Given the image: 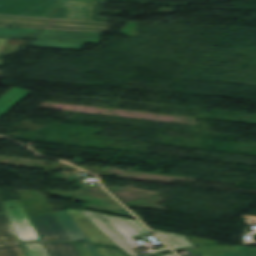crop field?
I'll return each instance as SVG.
<instances>
[{
    "instance_id": "obj_9",
    "label": "crop field",
    "mask_w": 256,
    "mask_h": 256,
    "mask_svg": "<svg viewBox=\"0 0 256 256\" xmlns=\"http://www.w3.org/2000/svg\"><path fill=\"white\" fill-rule=\"evenodd\" d=\"M67 211L78 223V225L83 229L87 236L92 240L93 243L117 247V245L113 241H111L101 230H99L78 210Z\"/></svg>"
},
{
    "instance_id": "obj_3",
    "label": "crop field",
    "mask_w": 256,
    "mask_h": 256,
    "mask_svg": "<svg viewBox=\"0 0 256 256\" xmlns=\"http://www.w3.org/2000/svg\"><path fill=\"white\" fill-rule=\"evenodd\" d=\"M48 19L0 15V26L43 28ZM112 24L51 19L46 28L109 32Z\"/></svg>"
},
{
    "instance_id": "obj_16",
    "label": "crop field",
    "mask_w": 256,
    "mask_h": 256,
    "mask_svg": "<svg viewBox=\"0 0 256 256\" xmlns=\"http://www.w3.org/2000/svg\"><path fill=\"white\" fill-rule=\"evenodd\" d=\"M0 256H25L20 244H0Z\"/></svg>"
},
{
    "instance_id": "obj_22",
    "label": "crop field",
    "mask_w": 256,
    "mask_h": 256,
    "mask_svg": "<svg viewBox=\"0 0 256 256\" xmlns=\"http://www.w3.org/2000/svg\"><path fill=\"white\" fill-rule=\"evenodd\" d=\"M81 256H92L83 243H74Z\"/></svg>"
},
{
    "instance_id": "obj_23",
    "label": "crop field",
    "mask_w": 256,
    "mask_h": 256,
    "mask_svg": "<svg viewBox=\"0 0 256 256\" xmlns=\"http://www.w3.org/2000/svg\"><path fill=\"white\" fill-rule=\"evenodd\" d=\"M85 246L88 248V250L90 251V253L93 255V256H102L100 254V252L96 249V247L94 245H91V244H85Z\"/></svg>"
},
{
    "instance_id": "obj_12",
    "label": "crop field",
    "mask_w": 256,
    "mask_h": 256,
    "mask_svg": "<svg viewBox=\"0 0 256 256\" xmlns=\"http://www.w3.org/2000/svg\"><path fill=\"white\" fill-rule=\"evenodd\" d=\"M28 94H30V92H27L20 88H14L9 93H7L4 97L0 99V116H2L5 112L11 109L23 98H25Z\"/></svg>"
},
{
    "instance_id": "obj_21",
    "label": "crop field",
    "mask_w": 256,
    "mask_h": 256,
    "mask_svg": "<svg viewBox=\"0 0 256 256\" xmlns=\"http://www.w3.org/2000/svg\"><path fill=\"white\" fill-rule=\"evenodd\" d=\"M189 238L195 246H197L199 244H216V242H217L214 240H207V239H201V238H194V237H189Z\"/></svg>"
},
{
    "instance_id": "obj_13",
    "label": "crop field",
    "mask_w": 256,
    "mask_h": 256,
    "mask_svg": "<svg viewBox=\"0 0 256 256\" xmlns=\"http://www.w3.org/2000/svg\"><path fill=\"white\" fill-rule=\"evenodd\" d=\"M48 256H80L73 243H43Z\"/></svg>"
},
{
    "instance_id": "obj_20",
    "label": "crop field",
    "mask_w": 256,
    "mask_h": 256,
    "mask_svg": "<svg viewBox=\"0 0 256 256\" xmlns=\"http://www.w3.org/2000/svg\"><path fill=\"white\" fill-rule=\"evenodd\" d=\"M105 256H126L121 250L99 247Z\"/></svg>"
},
{
    "instance_id": "obj_8",
    "label": "crop field",
    "mask_w": 256,
    "mask_h": 256,
    "mask_svg": "<svg viewBox=\"0 0 256 256\" xmlns=\"http://www.w3.org/2000/svg\"><path fill=\"white\" fill-rule=\"evenodd\" d=\"M55 215L51 213L30 218L42 241H70Z\"/></svg>"
},
{
    "instance_id": "obj_24",
    "label": "crop field",
    "mask_w": 256,
    "mask_h": 256,
    "mask_svg": "<svg viewBox=\"0 0 256 256\" xmlns=\"http://www.w3.org/2000/svg\"><path fill=\"white\" fill-rule=\"evenodd\" d=\"M194 250L197 252V254L198 255H195V256H202L201 254H200V252L196 249V248H194Z\"/></svg>"
},
{
    "instance_id": "obj_18",
    "label": "crop field",
    "mask_w": 256,
    "mask_h": 256,
    "mask_svg": "<svg viewBox=\"0 0 256 256\" xmlns=\"http://www.w3.org/2000/svg\"><path fill=\"white\" fill-rule=\"evenodd\" d=\"M234 252H222L216 256H256V248L248 249L246 246H232Z\"/></svg>"
},
{
    "instance_id": "obj_25",
    "label": "crop field",
    "mask_w": 256,
    "mask_h": 256,
    "mask_svg": "<svg viewBox=\"0 0 256 256\" xmlns=\"http://www.w3.org/2000/svg\"><path fill=\"white\" fill-rule=\"evenodd\" d=\"M163 256H176L174 253L168 254V255H163Z\"/></svg>"
},
{
    "instance_id": "obj_10",
    "label": "crop field",
    "mask_w": 256,
    "mask_h": 256,
    "mask_svg": "<svg viewBox=\"0 0 256 256\" xmlns=\"http://www.w3.org/2000/svg\"><path fill=\"white\" fill-rule=\"evenodd\" d=\"M55 214L67 232L68 236L70 237L71 241L90 242V240L85 236V234L80 230V228L65 211L56 212Z\"/></svg>"
},
{
    "instance_id": "obj_4",
    "label": "crop field",
    "mask_w": 256,
    "mask_h": 256,
    "mask_svg": "<svg viewBox=\"0 0 256 256\" xmlns=\"http://www.w3.org/2000/svg\"><path fill=\"white\" fill-rule=\"evenodd\" d=\"M98 187L83 186L79 191L59 192L48 191L57 197H73L77 201H87L83 207L91 209H104L113 213L133 217L126 209L119 205L108 193ZM135 218V217H134Z\"/></svg>"
},
{
    "instance_id": "obj_19",
    "label": "crop field",
    "mask_w": 256,
    "mask_h": 256,
    "mask_svg": "<svg viewBox=\"0 0 256 256\" xmlns=\"http://www.w3.org/2000/svg\"><path fill=\"white\" fill-rule=\"evenodd\" d=\"M197 249L203 256H214L222 251H233L231 246H201Z\"/></svg>"
},
{
    "instance_id": "obj_17",
    "label": "crop field",
    "mask_w": 256,
    "mask_h": 256,
    "mask_svg": "<svg viewBox=\"0 0 256 256\" xmlns=\"http://www.w3.org/2000/svg\"><path fill=\"white\" fill-rule=\"evenodd\" d=\"M26 256H47L42 243H23Z\"/></svg>"
},
{
    "instance_id": "obj_11",
    "label": "crop field",
    "mask_w": 256,
    "mask_h": 256,
    "mask_svg": "<svg viewBox=\"0 0 256 256\" xmlns=\"http://www.w3.org/2000/svg\"><path fill=\"white\" fill-rule=\"evenodd\" d=\"M1 236L6 237V240L2 241ZM13 241L19 240L0 197V242Z\"/></svg>"
},
{
    "instance_id": "obj_14",
    "label": "crop field",
    "mask_w": 256,
    "mask_h": 256,
    "mask_svg": "<svg viewBox=\"0 0 256 256\" xmlns=\"http://www.w3.org/2000/svg\"><path fill=\"white\" fill-rule=\"evenodd\" d=\"M153 231L160 235L174 250L194 246L187 236L157 230Z\"/></svg>"
},
{
    "instance_id": "obj_5",
    "label": "crop field",
    "mask_w": 256,
    "mask_h": 256,
    "mask_svg": "<svg viewBox=\"0 0 256 256\" xmlns=\"http://www.w3.org/2000/svg\"><path fill=\"white\" fill-rule=\"evenodd\" d=\"M103 3L98 0H62L52 18L107 23L108 18L100 17Z\"/></svg>"
},
{
    "instance_id": "obj_26",
    "label": "crop field",
    "mask_w": 256,
    "mask_h": 256,
    "mask_svg": "<svg viewBox=\"0 0 256 256\" xmlns=\"http://www.w3.org/2000/svg\"><path fill=\"white\" fill-rule=\"evenodd\" d=\"M246 220H249L247 217H244Z\"/></svg>"
},
{
    "instance_id": "obj_6",
    "label": "crop field",
    "mask_w": 256,
    "mask_h": 256,
    "mask_svg": "<svg viewBox=\"0 0 256 256\" xmlns=\"http://www.w3.org/2000/svg\"><path fill=\"white\" fill-rule=\"evenodd\" d=\"M60 0H0V14L50 18Z\"/></svg>"
},
{
    "instance_id": "obj_1",
    "label": "crop field",
    "mask_w": 256,
    "mask_h": 256,
    "mask_svg": "<svg viewBox=\"0 0 256 256\" xmlns=\"http://www.w3.org/2000/svg\"><path fill=\"white\" fill-rule=\"evenodd\" d=\"M40 31L41 29L0 27V37L11 39H36V41H32L30 44V46L34 47L83 49L85 43L98 44L101 34L94 32L44 29L38 40L37 36Z\"/></svg>"
},
{
    "instance_id": "obj_7",
    "label": "crop field",
    "mask_w": 256,
    "mask_h": 256,
    "mask_svg": "<svg viewBox=\"0 0 256 256\" xmlns=\"http://www.w3.org/2000/svg\"><path fill=\"white\" fill-rule=\"evenodd\" d=\"M16 233L20 241H41L21 201H5ZM13 206L15 210L10 207Z\"/></svg>"
},
{
    "instance_id": "obj_15",
    "label": "crop field",
    "mask_w": 256,
    "mask_h": 256,
    "mask_svg": "<svg viewBox=\"0 0 256 256\" xmlns=\"http://www.w3.org/2000/svg\"><path fill=\"white\" fill-rule=\"evenodd\" d=\"M27 42V40H10V39H0V65L3 58L6 56L19 51V47H23ZM29 44H27L23 49H25ZM20 50H23L21 49ZM4 49H9V52L3 51Z\"/></svg>"
},
{
    "instance_id": "obj_2",
    "label": "crop field",
    "mask_w": 256,
    "mask_h": 256,
    "mask_svg": "<svg viewBox=\"0 0 256 256\" xmlns=\"http://www.w3.org/2000/svg\"><path fill=\"white\" fill-rule=\"evenodd\" d=\"M100 228L118 246L122 247L130 256H139L135 248L139 245L132 239L134 236L149 233L138 221L116 216H108L102 213L79 210ZM108 220V222H104ZM169 249L154 252L149 255L169 252ZM148 256V255H145Z\"/></svg>"
}]
</instances>
